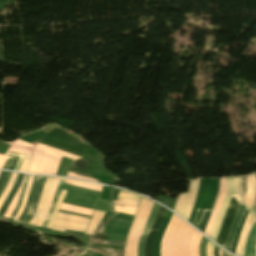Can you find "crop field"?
Listing matches in <instances>:
<instances>
[{
	"label": "crop field",
	"mask_w": 256,
	"mask_h": 256,
	"mask_svg": "<svg viewBox=\"0 0 256 256\" xmlns=\"http://www.w3.org/2000/svg\"><path fill=\"white\" fill-rule=\"evenodd\" d=\"M62 156L73 160L80 158L48 146L37 144L27 172L55 175Z\"/></svg>",
	"instance_id": "8a807250"
},
{
	"label": "crop field",
	"mask_w": 256,
	"mask_h": 256,
	"mask_svg": "<svg viewBox=\"0 0 256 256\" xmlns=\"http://www.w3.org/2000/svg\"><path fill=\"white\" fill-rule=\"evenodd\" d=\"M153 203L154 202L144 197L142 198L141 204L136 213L135 219L131 225V228L126 240L124 256H137L139 236L149 216Z\"/></svg>",
	"instance_id": "ac0d7876"
},
{
	"label": "crop field",
	"mask_w": 256,
	"mask_h": 256,
	"mask_svg": "<svg viewBox=\"0 0 256 256\" xmlns=\"http://www.w3.org/2000/svg\"><path fill=\"white\" fill-rule=\"evenodd\" d=\"M199 179L196 181H189L188 192L181 193L178 201L173 209L177 214L189 220L190 213L193 209V203L197 193Z\"/></svg>",
	"instance_id": "34b2d1b8"
},
{
	"label": "crop field",
	"mask_w": 256,
	"mask_h": 256,
	"mask_svg": "<svg viewBox=\"0 0 256 256\" xmlns=\"http://www.w3.org/2000/svg\"><path fill=\"white\" fill-rule=\"evenodd\" d=\"M89 221L90 220L88 219L58 212V215L52 226V229L61 230V231H64L65 229H69V230L85 232L89 224Z\"/></svg>",
	"instance_id": "412701ff"
},
{
	"label": "crop field",
	"mask_w": 256,
	"mask_h": 256,
	"mask_svg": "<svg viewBox=\"0 0 256 256\" xmlns=\"http://www.w3.org/2000/svg\"><path fill=\"white\" fill-rule=\"evenodd\" d=\"M240 200L241 199H240L239 195H233V197H232V199L229 203V206H228V209H227V212H226V215H225L220 233H219V235H218V237L215 241L221 246H224V243L226 241V238H227V235H228V232H229L231 222H232V220H233V218L236 214V210H237V207H238V204H239Z\"/></svg>",
	"instance_id": "f4fd0767"
},
{
	"label": "crop field",
	"mask_w": 256,
	"mask_h": 256,
	"mask_svg": "<svg viewBox=\"0 0 256 256\" xmlns=\"http://www.w3.org/2000/svg\"><path fill=\"white\" fill-rule=\"evenodd\" d=\"M225 193H226V178H220L219 179V193L218 196L216 198V201L214 203V207H213V211L212 214L210 216L209 222L206 226V229L204 231L205 234H207L208 236H210L212 228L214 226L215 223V219L217 217V214L219 212L220 206L224 200L225 197Z\"/></svg>",
	"instance_id": "dd49c442"
},
{
	"label": "crop field",
	"mask_w": 256,
	"mask_h": 256,
	"mask_svg": "<svg viewBox=\"0 0 256 256\" xmlns=\"http://www.w3.org/2000/svg\"><path fill=\"white\" fill-rule=\"evenodd\" d=\"M54 179L55 178L47 177L46 183H45L42 195H41V198L39 200V203H38V206H37V209H36V213H35L34 217L32 218V220L30 221L31 224L37 225V223L39 222L40 217H41V215H42V213H43V211L46 207V203H47V200L49 198L51 189L53 187Z\"/></svg>",
	"instance_id": "e52e79f7"
},
{
	"label": "crop field",
	"mask_w": 256,
	"mask_h": 256,
	"mask_svg": "<svg viewBox=\"0 0 256 256\" xmlns=\"http://www.w3.org/2000/svg\"><path fill=\"white\" fill-rule=\"evenodd\" d=\"M232 195H233V177H230V178H227V195H226V198L223 202V205L221 207V210L219 212V215H218L216 223H215V227H214V229L212 231V234L210 236V238L213 239L214 241H215V239L218 235L219 228H220L221 223L223 221L225 211L227 209L228 203H229Z\"/></svg>",
	"instance_id": "d8731c3e"
},
{
	"label": "crop field",
	"mask_w": 256,
	"mask_h": 256,
	"mask_svg": "<svg viewBox=\"0 0 256 256\" xmlns=\"http://www.w3.org/2000/svg\"><path fill=\"white\" fill-rule=\"evenodd\" d=\"M173 213H171L170 211H167L156 235H155V238L153 240V256H160V242H161V239H162V236L165 232V229L167 227V224L171 218Z\"/></svg>",
	"instance_id": "5a996713"
},
{
	"label": "crop field",
	"mask_w": 256,
	"mask_h": 256,
	"mask_svg": "<svg viewBox=\"0 0 256 256\" xmlns=\"http://www.w3.org/2000/svg\"><path fill=\"white\" fill-rule=\"evenodd\" d=\"M159 205L154 204L152 212L150 214L149 220L140 236L139 240V247H138V256H144V243L147 237V234L156 218L157 212H158Z\"/></svg>",
	"instance_id": "3316defc"
},
{
	"label": "crop field",
	"mask_w": 256,
	"mask_h": 256,
	"mask_svg": "<svg viewBox=\"0 0 256 256\" xmlns=\"http://www.w3.org/2000/svg\"><path fill=\"white\" fill-rule=\"evenodd\" d=\"M166 211L167 210L162 208V207L159 208L157 218H156V220L154 222V225H153V227H152V229H151V231H150V233L147 237V241H146V244H145V256H152L151 255L152 240L154 238V235H155V233H156V231H157V229H158Z\"/></svg>",
	"instance_id": "28ad6ade"
},
{
	"label": "crop field",
	"mask_w": 256,
	"mask_h": 256,
	"mask_svg": "<svg viewBox=\"0 0 256 256\" xmlns=\"http://www.w3.org/2000/svg\"><path fill=\"white\" fill-rule=\"evenodd\" d=\"M245 208L246 207L242 204V201H241V203H240V205L238 207V211H237L236 217H235V219H234V221H233V223L231 225L227 241H226L225 246H224V248H226L227 250H230V248H231V245H232V242L234 240V237H235V234H236V231H237V228H238L241 216H242Z\"/></svg>",
	"instance_id": "d1516ede"
},
{
	"label": "crop field",
	"mask_w": 256,
	"mask_h": 256,
	"mask_svg": "<svg viewBox=\"0 0 256 256\" xmlns=\"http://www.w3.org/2000/svg\"><path fill=\"white\" fill-rule=\"evenodd\" d=\"M255 219L256 218L251 213H249L239 239V243L235 253L236 255L243 256L246 237Z\"/></svg>",
	"instance_id": "22f410ed"
},
{
	"label": "crop field",
	"mask_w": 256,
	"mask_h": 256,
	"mask_svg": "<svg viewBox=\"0 0 256 256\" xmlns=\"http://www.w3.org/2000/svg\"><path fill=\"white\" fill-rule=\"evenodd\" d=\"M45 179H46V177H41V176L39 177V180H38V183H37V186H36V190H35V194H34V197H33L32 205L30 207V210H29L28 214L23 219V222L29 223L31 217L34 215L39 197L41 195V192H42V189H43V186H44V183H45Z\"/></svg>",
	"instance_id": "cbeb9de0"
},
{
	"label": "crop field",
	"mask_w": 256,
	"mask_h": 256,
	"mask_svg": "<svg viewBox=\"0 0 256 256\" xmlns=\"http://www.w3.org/2000/svg\"><path fill=\"white\" fill-rule=\"evenodd\" d=\"M256 196V178L255 175L247 176V193L244 200L245 205L250 209Z\"/></svg>",
	"instance_id": "5142ce71"
},
{
	"label": "crop field",
	"mask_w": 256,
	"mask_h": 256,
	"mask_svg": "<svg viewBox=\"0 0 256 256\" xmlns=\"http://www.w3.org/2000/svg\"><path fill=\"white\" fill-rule=\"evenodd\" d=\"M255 246H256V220L247 237L244 256H255Z\"/></svg>",
	"instance_id": "d9b57169"
},
{
	"label": "crop field",
	"mask_w": 256,
	"mask_h": 256,
	"mask_svg": "<svg viewBox=\"0 0 256 256\" xmlns=\"http://www.w3.org/2000/svg\"><path fill=\"white\" fill-rule=\"evenodd\" d=\"M24 175H21V174H18L17 175V178H16V181H15V184H14V187L13 189L11 190L8 198L6 199V201L4 202V204L2 205L1 209H0V216H3L8 205L10 204L13 196L15 195L17 189L19 188L20 184H21V180L23 178Z\"/></svg>",
	"instance_id": "733c2abd"
},
{
	"label": "crop field",
	"mask_w": 256,
	"mask_h": 256,
	"mask_svg": "<svg viewBox=\"0 0 256 256\" xmlns=\"http://www.w3.org/2000/svg\"><path fill=\"white\" fill-rule=\"evenodd\" d=\"M129 229L120 228V227H112L102 225L98 231V233H111V234H123L126 235Z\"/></svg>",
	"instance_id": "4a817a6b"
},
{
	"label": "crop field",
	"mask_w": 256,
	"mask_h": 256,
	"mask_svg": "<svg viewBox=\"0 0 256 256\" xmlns=\"http://www.w3.org/2000/svg\"><path fill=\"white\" fill-rule=\"evenodd\" d=\"M104 214L105 213H103V212H99V211L94 210V215H93L91 224H90L88 230L86 231L87 234L93 235L97 225L99 224V222L103 218Z\"/></svg>",
	"instance_id": "bc2a9ffb"
},
{
	"label": "crop field",
	"mask_w": 256,
	"mask_h": 256,
	"mask_svg": "<svg viewBox=\"0 0 256 256\" xmlns=\"http://www.w3.org/2000/svg\"><path fill=\"white\" fill-rule=\"evenodd\" d=\"M62 182H63V179L61 178L60 179V181H59V184H58V187H57V189H56V193H55V197H54V199H53V202H52V204H51V207H50V209H49V211H48V214H47V216H46V219H45V221H44V223H43V227H46V225H47V223H48V221H49V219H50V216H51V214H52V212H53V209H54V207H55V205H56V203H57V200H58V197H59V194H60V188H61V186H62Z\"/></svg>",
	"instance_id": "214f88e0"
},
{
	"label": "crop field",
	"mask_w": 256,
	"mask_h": 256,
	"mask_svg": "<svg viewBox=\"0 0 256 256\" xmlns=\"http://www.w3.org/2000/svg\"><path fill=\"white\" fill-rule=\"evenodd\" d=\"M33 177L34 176H30L29 178V181H28V185H27V188L25 190V193H24V197H23V201H22V205L18 211V213L16 214V216L14 217L15 220H17V218L19 217V215L21 214L25 204H26V201H27V197H28V194H29V191H30V188H31V185H32V182H33Z\"/></svg>",
	"instance_id": "92a150f3"
},
{
	"label": "crop field",
	"mask_w": 256,
	"mask_h": 256,
	"mask_svg": "<svg viewBox=\"0 0 256 256\" xmlns=\"http://www.w3.org/2000/svg\"><path fill=\"white\" fill-rule=\"evenodd\" d=\"M38 177H39V176H35V177H34L33 186H32V189H31V192H30V195H29V198H28L26 207H25V209L23 210V212H22V214H21V216H20V218H19L18 221H22V219L24 218V216H25L26 213L28 212V209H29L30 204H31V201H32V197H33V193H34V189H35V186H36Z\"/></svg>",
	"instance_id": "dafd665d"
},
{
	"label": "crop field",
	"mask_w": 256,
	"mask_h": 256,
	"mask_svg": "<svg viewBox=\"0 0 256 256\" xmlns=\"http://www.w3.org/2000/svg\"><path fill=\"white\" fill-rule=\"evenodd\" d=\"M248 213H249V211L246 209V211H245V213H244V215H243V217H242V219H241V222H240V225H239V228H238V231H237V234H236V237H235L233 246H232V248H231V250H230V252H232V253H235V249H236V246H237L238 238H239V236H240L242 227H243V225H244V222H245V219H246Z\"/></svg>",
	"instance_id": "00972430"
},
{
	"label": "crop field",
	"mask_w": 256,
	"mask_h": 256,
	"mask_svg": "<svg viewBox=\"0 0 256 256\" xmlns=\"http://www.w3.org/2000/svg\"><path fill=\"white\" fill-rule=\"evenodd\" d=\"M65 192H66V191H64V190L61 191V194H60L58 203H57V205H56V207H55V209H54L53 215H52V217H51V219H50V221H49V223H48V225H47L48 228H51V226H52V223H53L54 218H55V216H56V214H57V212H58V210H59V208H60V204H61V201H62L64 195H65Z\"/></svg>",
	"instance_id": "a9b5d70f"
},
{
	"label": "crop field",
	"mask_w": 256,
	"mask_h": 256,
	"mask_svg": "<svg viewBox=\"0 0 256 256\" xmlns=\"http://www.w3.org/2000/svg\"><path fill=\"white\" fill-rule=\"evenodd\" d=\"M137 195V194H136ZM124 191H120L118 194V199H127V200H135V201H140L141 197L140 196H136Z\"/></svg>",
	"instance_id": "4177f3b9"
},
{
	"label": "crop field",
	"mask_w": 256,
	"mask_h": 256,
	"mask_svg": "<svg viewBox=\"0 0 256 256\" xmlns=\"http://www.w3.org/2000/svg\"><path fill=\"white\" fill-rule=\"evenodd\" d=\"M16 175H17V174H15V173L12 174V176H11V178H10L8 184H7V187H6V189H5V191H4L3 195H2V197H1V199H0V207H1V205H2V203H3V201H4V199H5V197H6L7 194L9 193V191H10V189H11V187H12V184H13L15 178H16Z\"/></svg>",
	"instance_id": "730fd06b"
},
{
	"label": "crop field",
	"mask_w": 256,
	"mask_h": 256,
	"mask_svg": "<svg viewBox=\"0 0 256 256\" xmlns=\"http://www.w3.org/2000/svg\"><path fill=\"white\" fill-rule=\"evenodd\" d=\"M201 237L202 235H200L199 233H196L193 240V245H192V256H198V245Z\"/></svg>",
	"instance_id": "eef30255"
},
{
	"label": "crop field",
	"mask_w": 256,
	"mask_h": 256,
	"mask_svg": "<svg viewBox=\"0 0 256 256\" xmlns=\"http://www.w3.org/2000/svg\"><path fill=\"white\" fill-rule=\"evenodd\" d=\"M58 180H59V178H56L55 184H54V187H53L51 196H50V199H49V201H48V203H47V208H46V210H45V212H44V214H43V216H42V218H41V220H40V222H39V224H38L39 227L41 226V224H42V222H43V220H44V218H45V216H46V214H47V211H48V209H49V207H50V204H51V201H52V198H53V195H54L56 186H57V184H58Z\"/></svg>",
	"instance_id": "ae1a2a85"
},
{
	"label": "crop field",
	"mask_w": 256,
	"mask_h": 256,
	"mask_svg": "<svg viewBox=\"0 0 256 256\" xmlns=\"http://www.w3.org/2000/svg\"><path fill=\"white\" fill-rule=\"evenodd\" d=\"M23 180H24V178H23ZM22 183H23V181H22ZM21 186H22V184H21ZM21 186H20V188H19V190H18V192H17L15 198H14L13 201L11 202V204H10V206H9V208H8V210H7V212H6V214H5V217H8V218H9L10 215L12 214V212H13V210H14V208H15V205H16V203H17L18 197H19V193H20Z\"/></svg>",
	"instance_id": "d3111659"
},
{
	"label": "crop field",
	"mask_w": 256,
	"mask_h": 256,
	"mask_svg": "<svg viewBox=\"0 0 256 256\" xmlns=\"http://www.w3.org/2000/svg\"><path fill=\"white\" fill-rule=\"evenodd\" d=\"M114 207H115V211H117V212L131 214V215H134L137 210L134 208H128V207H122V206H116V205H114Z\"/></svg>",
	"instance_id": "750c4746"
},
{
	"label": "crop field",
	"mask_w": 256,
	"mask_h": 256,
	"mask_svg": "<svg viewBox=\"0 0 256 256\" xmlns=\"http://www.w3.org/2000/svg\"><path fill=\"white\" fill-rule=\"evenodd\" d=\"M28 176L29 175H26L25 177V180H24V183H23V187H22V190H21V194H20V198H19V201H18V205L13 213V215L11 216V219H13L14 215L16 214V212L18 211L20 205H21V201H22V197H23V193H24V190H25V187L27 185V181H28Z\"/></svg>",
	"instance_id": "bd1437ed"
},
{
	"label": "crop field",
	"mask_w": 256,
	"mask_h": 256,
	"mask_svg": "<svg viewBox=\"0 0 256 256\" xmlns=\"http://www.w3.org/2000/svg\"><path fill=\"white\" fill-rule=\"evenodd\" d=\"M210 212H211V211H208V210H205V211H204V214H203L201 223H200V225H199V227H198V229H200L201 231H204V229H205V226H206L207 221H208V219H209Z\"/></svg>",
	"instance_id": "1d83c4d3"
},
{
	"label": "crop field",
	"mask_w": 256,
	"mask_h": 256,
	"mask_svg": "<svg viewBox=\"0 0 256 256\" xmlns=\"http://www.w3.org/2000/svg\"><path fill=\"white\" fill-rule=\"evenodd\" d=\"M114 204H117V205H124V206H130V207H135V208H137L139 202L121 200V201H114Z\"/></svg>",
	"instance_id": "120bbe31"
},
{
	"label": "crop field",
	"mask_w": 256,
	"mask_h": 256,
	"mask_svg": "<svg viewBox=\"0 0 256 256\" xmlns=\"http://www.w3.org/2000/svg\"><path fill=\"white\" fill-rule=\"evenodd\" d=\"M6 155L17 156V157H22V158H30L31 157V156H28V155H22V154L10 153V152H7ZM22 158L19 159V161H18V163H17V165H16L14 170H16V171L19 170L20 165H21V163L23 161Z\"/></svg>",
	"instance_id": "d32e631a"
},
{
	"label": "crop field",
	"mask_w": 256,
	"mask_h": 256,
	"mask_svg": "<svg viewBox=\"0 0 256 256\" xmlns=\"http://www.w3.org/2000/svg\"><path fill=\"white\" fill-rule=\"evenodd\" d=\"M134 216L131 215H125V214H121V213H116L115 212V216L111 217L112 219H119V220H125V221H129L131 222Z\"/></svg>",
	"instance_id": "5866460e"
},
{
	"label": "crop field",
	"mask_w": 256,
	"mask_h": 256,
	"mask_svg": "<svg viewBox=\"0 0 256 256\" xmlns=\"http://www.w3.org/2000/svg\"><path fill=\"white\" fill-rule=\"evenodd\" d=\"M207 241H208L207 239L202 237L201 242H200V246H199V256H206L205 248H206Z\"/></svg>",
	"instance_id": "028f5c9d"
},
{
	"label": "crop field",
	"mask_w": 256,
	"mask_h": 256,
	"mask_svg": "<svg viewBox=\"0 0 256 256\" xmlns=\"http://www.w3.org/2000/svg\"><path fill=\"white\" fill-rule=\"evenodd\" d=\"M241 177H234V194H240Z\"/></svg>",
	"instance_id": "e1f06a70"
},
{
	"label": "crop field",
	"mask_w": 256,
	"mask_h": 256,
	"mask_svg": "<svg viewBox=\"0 0 256 256\" xmlns=\"http://www.w3.org/2000/svg\"><path fill=\"white\" fill-rule=\"evenodd\" d=\"M203 211L204 210H201V209L197 210V213H196V216H195V219H194V223H193L194 226L198 227V225L200 223V220H201V217H202V214H203Z\"/></svg>",
	"instance_id": "0bd39190"
},
{
	"label": "crop field",
	"mask_w": 256,
	"mask_h": 256,
	"mask_svg": "<svg viewBox=\"0 0 256 256\" xmlns=\"http://www.w3.org/2000/svg\"><path fill=\"white\" fill-rule=\"evenodd\" d=\"M10 175H11V173H9V172L6 173V176H5L3 182H2V184L0 186V196L2 195V193H3V191H4L5 187H6V184H7L8 180H9V178H10Z\"/></svg>",
	"instance_id": "b80d0937"
},
{
	"label": "crop field",
	"mask_w": 256,
	"mask_h": 256,
	"mask_svg": "<svg viewBox=\"0 0 256 256\" xmlns=\"http://www.w3.org/2000/svg\"><path fill=\"white\" fill-rule=\"evenodd\" d=\"M66 181L77 183V184H81V185H84V186H88V187H92V188H96V189H100L101 190V186H99V185H94V184L74 181V180H70V179H66Z\"/></svg>",
	"instance_id": "c035e120"
},
{
	"label": "crop field",
	"mask_w": 256,
	"mask_h": 256,
	"mask_svg": "<svg viewBox=\"0 0 256 256\" xmlns=\"http://www.w3.org/2000/svg\"><path fill=\"white\" fill-rule=\"evenodd\" d=\"M213 246H214V244H212L211 242L208 241L207 248H206L207 256H214L213 255Z\"/></svg>",
	"instance_id": "c21b1889"
},
{
	"label": "crop field",
	"mask_w": 256,
	"mask_h": 256,
	"mask_svg": "<svg viewBox=\"0 0 256 256\" xmlns=\"http://www.w3.org/2000/svg\"><path fill=\"white\" fill-rule=\"evenodd\" d=\"M75 256H95L88 248H85L81 253Z\"/></svg>",
	"instance_id": "03da06ac"
},
{
	"label": "crop field",
	"mask_w": 256,
	"mask_h": 256,
	"mask_svg": "<svg viewBox=\"0 0 256 256\" xmlns=\"http://www.w3.org/2000/svg\"><path fill=\"white\" fill-rule=\"evenodd\" d=\"M29 160H30V159H25V160H24V162H23V164H22V166H21V168H20L19 171H22V172H25V171H26V169H27V167H28Z\"/></svg>",
	"instance_id": "b54c1fbb"
},
{
	"label": "crop field",
	"mask_w": 256,
	"mask_h": 256,
	"mask_svg": "<svg viewBox=\"0 0 256 256\" xmlns=\"http://www.w3.org/2000/svg\"><path fill=\"white\" fill-rule=\"evenodd\" d=\"M245 193H246V176L244 178V184H243V189H242L243 200H244V197H245Z\"/></svg>",
	"instance_id": "5d738f31"
},
{
	"label": "crop field",
	"mask_w": 256,
	"mask_h": 256,
	"mask_svg": "<svg viewBox=\"0 0 256 256\" xmlns=\"http://www.w3.org/2000/svg\"><path fill=\"white\" fill-rule=\"evenodd\" d=\"M17 160H18V158H16V157H14V158H13V160H12V162H11V165H10L9 169H11V170H13V169H14L15 164H16V162H17Z\"/></svg>",
	"instance_id": "d23c7cc5"
},
{
	"label": "crop field",
	"mask_w": 256,
	"mask_h": 256,
	"mask_svg": "<svg viewBox=\"0 0 256 256\" xmlns=\"http://www.w3.org/2000/svg\"><path fill=\"white\" fill-rule=\"evenodd\" d=\"M6 158H7V156H2V155H0V168H2V166H3V164H4L5 160H6Z\"/></svg>",
	"instance_id": "425ffa30"
},
{
	"label": "crop field",
	"mask_w": 256,
	"mask_h": 256,
	"mask_svg": "<svg viewBox=\"0 0 256 256\" xmlns=\"http://www.w3.org/2000/svg\"><path fill=\"white\" fill-rule=\"evenodd\" d=\"M12 158H13V157H8V159H7L6 163L4 164L3 168H5V169L8 168V166H9V164H10Z\"/></svg>",
	"instance_id": "25e5ab78"
},
{
	"label": "crop field",
	"mask_w": 256,
	"mask_h": 256,
	"mask_svg": "<svg viewBox=\"0 0 256 256\" xmlns=\"http://www.w3.org/2000/svg\"><path fill=\"white\" fill-rule=\"evenodd\" d=\"M250 211L253 212L256 215V200H255V202H254V204H253V206H252Z\"/></svg>",
	"instance_id": "73cf0c24"
},
{
	"label": "crop field",
	"mask_w": 256,
	"mask_h": 256,
	"mask_svg": "<svg viewBox=\"0 0 256 256\" xmlns=\"http://www.w3.org/2000/svg\"><path fill=\"white\" fill-rule=\"evenodd\" d=\"M5 173L6 172H3V171L0 172V184H1V182H2V180L4 178V176H5Z\"/></svg>",
	"instance_id": "89e229c0"
},
{
	"label": "crop field",
	"mask_w": 256,
	"mask_h": 256,
	"mask_svg": "<svg viewBox=\"0 0 256 256\" xmlns=\"http://www.w3.org/2000/svg\"><path fill=\"white\" fill-rule=\"evenodd\" d=\"M214 254H215V256H218V247H216V246L214 248Z\"/></svg>",
	"instance_id": "1f2cbd36"
},
{
	"label": "crop field",
	"mask_w": 256,
	"mask_h": 256,
	"mask_svg": "<svg viewBox=\"0 0 256 256\" xmlns=\"http://www.w3.org/2000/svg\"><path fill=\"white\" fill-rule=\"evenodd\" d=\"M65 183H69V182L65 181ZM69 184H72V183H69ZM73 185H76V184H73ZM77 186H80V185H77ZM81 187H84V186H81ZM84 188L91 189V190H96V189H92V188H88V187H84ZM97 191H100V190H97Z\"/></svg>",
	"instance_id": "dbb93151"
},
{
	"label": "crop field",
	"mask_w": 256,
	"mask_h": 256,
	"mask_svg": "<svg viewBox=\"0 0 256 256\" xmlns=\"http://www.w3.org/2000/svg\"><path fill=\"white\" fill-rule=\"evenodd\" d=\"M222 256H231V255H229V254L225 253L224 251H222Z\"/></svg>",
	"instance_id": "0fb4a251"
},
{
	"label": "crop field",
	"mask_w": 256,
	"mask_h": 256,
	"mask_svg": "<svg viewBox=\"0 0 256 256\" xmlns=\"http://www.w3.org/2000/svg\"><path fill=\"white\" fill-rule=\"evenodd\" d=\"M219 256H221V249H219Z\"/></svg>",
	"instance_id": "1d79db26"
}]
</instances>
